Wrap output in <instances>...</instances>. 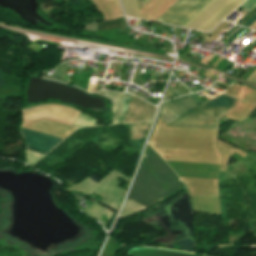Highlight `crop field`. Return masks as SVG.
Returning <instances> with one entry per match:
<instances>
[{"label":"crop field","instance_id":"8a807250","mask_svg":"<svg viewBox=\"0 0 256 256\" xmlns=\"http://www.w3.org/2000/svg\"><path fill=\"white\" fill-rule=\"evenodd\" d=\"M142 163L170 194L184 186L183 181H180L172 172L173 170L171 171L150 146L146 150ZM143 164H141L133 191L129 198L146 208L169 195V193Z\"/></svg>","mask_w":256,"mask_h":256},{"label":"crop field","instance_id":"ac0d7876","mask_svg":"<svg viewBox=\"0 0 256 256\" xmlns=\"http://www.w3.org/2000/svg\"><path fill=\"white\" fill-rule=\"evenodd\" d=\"M119 176H121L129 184L130 178L114 169L105 179H103L98 184L87 178L76 185L66 188L65 191L67 192L71 189L81 190L88 195L95 192L104 198L100 202L118 211L127 190V188L122 189L119 187L122 184L116 179Z\"/></svg>","mask_w":256,"mask_h":256},{"label":"crop field","instance_id":"34b2d1b8","mask_svg":"<svg viewBox=\"0 0 256 256\" xmlns=\"http://www.w3.org/2000/svg\"><path fill=\"white\" fill-rule=\"evenodd\" d=\"M244 0H211L184 27L210 31Z\"/></svg>","mask_w":256,"mask_h":256},{"label":"crop field","instance_id":"412701ff","mask_svg":"<svg viewBox=\"0 0 256 256\" xmlns=\"http://www.w3.org/2000/svg\"><path fill=\"white\" fill-rule=\"evenodd\" d=\"M230 108L201 107L169 126L216 129V120Z\"/></svg>","mask_w":256,"mask_h":256},{"label":"crop field","instance_id":"f4fd0767","mask_svg":"<svg viewBox=\"0 0 256 256\" xmlns=\"http://www.w3.org/2000/svg\"><path fill=\"white\" fill-rule=\"evenodd\" d=\"M210 0H178L161 16L169 18L159 17L157 22H166L168 24L182 26L187 22L194 14H196L203 6H205Z\"/></svg>","mask_w":256,"mask_h":256},{"label":"crop field","instance_id":"dd49c442","mask_svg":"<svg viewBox=\"0 0 256 256\" xmlns=\"http://www.w3.org/2000/svg\"><path fill=\"white\" fill-rule=\"evenodd\" d=\"M43 113H49V114H53V115H57V116H62V117L70 118L73 120L71 122L70 119L57 117V116H53V115H49V114H43ZM35 114H43V115H35ZM77 114H78V111H76L72 108H68V107H64V106H60V105H56V104H50V105H43V106H37V107L23 109V116L35 115V116L23 117V121L48 118V119H52V120H56V121H60V122L68 123V124H70V122H71V125H72Z\"/></svg>","mask_w":256,"mask_h":256},{"label":"crop field","instance_id":"e52e79f7","mask_svg":"<svg viewBox=\"0 0 256 256\" xmlns=\"http://www.w3.org/2000/svg\"><path fill=\"white\" fill-rule=\"evenodd\" d=\"M20 131L23 135L24 141L27 144L26 149L44 154L48 153L61 141H63V139L56 138L29 129L20 128Z\"/></svg>","mask_w":256,"mask_h":256},{"label":"crop field","instance_id":"d8731c3e","mask_svg":"<svg viewBox=\"0 0 256 256\" xmlns=\"http://www.w3.org/2000/svg\"><path fill=\"white\" fill-rule=\"evenodd\" d=\"M96 94L111 100L113 123H122L132 95L107 91Z\"/></svg>","mask_w":256,"mask_h":256},{"label":"crop field","instance_id":"5a996713","mask_svg":"<svg viewBox=\"0 0 256 256\" xmlns=\"http://www.w3.org/2000/svg\"><path fill=\"white\" fill-rule=\"evenodd\" d=\"M155 109H156L155 106L135 96H132V99L123 123L151 119Z\"/></svg>","mask_w":256,"mask_h":256},{"label":"crop field","instance_id":"3316defc","mask_svg":"<svg viewBox=\"0 0 256 256\" xmlns=\"http://www.w3.org/2000/svg\"><path fill=\"white\" fill-rule=\"evenodd\" d=\"M179 117L200 106L189 95L164 102Z\"/></svg>","mask_w":256,"mask_h":256},{"label":"crop field","instance_id":"28ad6ade","mask_svg":"<svg viewBox=\"0 0 256 256\" xmlns=\"http://www.w3.org/2000/svg\"><path fill=\"white\" fill-rule=\"evenodd\" d=\"M86 214L99 219L105 226L111 215L113 214V211L95 203L85 210H83Z\"/></svg>","mask_w":256,"mask_h":256},{"label":"crop field","instance_id":"d1516ede","mask_svg":"<svg viewBox=\"0 0 256 256\" xmlns=\"http://www.w3.org/2000/svg\"><path fill=\"white\" fill-rule=\"evenodd\" d=\"M150 123L151 121L129 124L132 139L145 137Z\"/></svg>","mask_w":256,"mask_h":256},{"label":"crop field","instance_id":"22f410ed","mask_svg":"<svg viewBox=\"0 0 256 256\" xmlns=\"http://www.w3.org/2000/svg\"><path fill=\"white\" fill-rule=\"evenodd\" d=\"M143 210H145L143 207L127 199L119 218L130 216Z\"/></svg>","mask_w":256,"mask_h":256},{"label":"crop field","instance_id":"cbeb9de0","mask_svg":"<svg viewBox=\"0 0 256 256\" xmlns=\"http://www.w3.org/2000/svg\"><path fill=\"white\" fill-rule=\"evenodd\" d=\"M234 101H235V99L230 98V97L225 96V95L222 94L221 96L213 99L212 101H210L209 103L205 104L204 106L231 107L232 104L234 103Z\"/></svg>","mask_w":256,"mask_h":256},{"label":"crop field","instance_id":"5142ce71","mask_svg":"<svg viewBox=\"0 0 256 256\" xmlns=\"http://www.w3.org/2000/svg\"><path fill=\"white\" fill-rule=\"evenodd\" d=\"M122 3L127 15L141 18L136 0H122Z\"/></svg>","mask_w":256,"mask_h":256},{"label":"crop field","instance_id":"d9b57169","mask_svg":"<svg viewBox=\"0 0 256 256\" xmlns=\"http://www.w3.org/2000/svg\"><path fill=\"white\" fill-rule=\"evenodd\" d=\"M160 117L164 119L167 123L174 121L179 118L173 111H171L165 104H163Z\"/></svg>","mask_w":256,"mask_h":256},{"label":"crop field","instance_id":"733c2abd","mask_svg":"<svg viewBox=\"0 0 256 256\" xmlns=\"http://www.w3.org/2000/svg\"><path fill=\"white\" fill-rule=\"evenodd\" d=\"M68 63V62H67ZM67 63H64L57 67L52 79L57 81H63L64 73L66 70Z\"/></svg>","mask_w":256,"mask_h":256},{"label":"crop field","instance_id":"4a817a6b","mask_svg":"<svg viewBox=\"0 0 256 256\" xmlns=\"http://www.w3.org/2000/svg\"><path fill=\"white\" fill-rule=\"evenodd\" d=\"M244 4V3H243ZM256 6V0H248L244 5L240 8L245 7L246 10L250 11L252 8ZM239 8V9H240Z\"/></svg>","mask_w":256,"mask_h":256},{"label":"crop field","instance_id":"bc2a9ffb","mask_svg":"<svg viewBox=\"0 0 256 256\" xmlns=\"http://www.w3.org/2000/svg\"><path fill=\"white\" fill-rule=\"evenodd\" d=\"M144 141L145 138L132 140L133 148L140 150Z\"/></svg>","mask_w":256,"mask_h":256},{"label":"crop field","instance_id":"214f88e0","mask_svg":"<svg viewBox=\"0 0 256 256\" xmlns=\"http://www.w3.org/2000/svg\"><path fill=\"white\" fill-rule=\"evenodd\" d=\"M256 13V8H254L250 13H248L245 17H243L240 21L246 22L248 19H250L254 14Z\"/></svg>","mask_w":256,"mask_h":256},{"label":"crop field","instance_id":"92a150f3","mask_svg":"<svg viewBox=\"0 0 256 256\" xmlns=\"http://www.w3.org/2000/svg\"><path fill=\"white\" fill-rule=\"evenodd\" d=\"M256 21V15H254L248 22L244 24V26L249 27L252 23Z\"/></svg>","mask_w":256,"mask_h":256},{"label":"crop field","instance_id":"dafd665d","mask_svg":"<svg viewBox=\"0 0 256 256\" xmlns=\"http://www.w3.org/2000/svg\"><path fill=\"white\" fill-rule=\"evenodd\" d=\"M149 0H138L139 8L144 6Z\"/></svg>","mask_w":256,"mask_h":256},{"label":"crop field","instance_id":"00972430","mask_svg":"<svg viewBox=\"0 0 256 256\" xmlns=\"http://www.w3.org/2000/svg\"><path fill=\"white\" fill-rule=\"evenodd\" d=\"M190 96H191L193 99H195L200 105L203 104V103H202L199 99H197L193 94L190 95ZM196 101H195V102H196ZM197 102H196V103H197Z\"/></svg>","mask_w":256,"mask_h":256},{"label":"crop field","instance_id":"a9b5d70f","mask_svg":"<svg viewBox=\"0 0 256 256\" xmlns=\"http://www.w3.org/2000/svg\"><path fill=\"white\" fill-rule=\"evenodd\" d=\"M202 89H205V88L200 86V87H195V88L191 89V91L194 92V91L202 90Z\"/></svg>","mask_w":256,"mask_h":256},{"label":"crop field","instance_id":"4177f3b9","mask_svg":"<svg viewBox=\"0 0 256 256\" xmlns=\"http://www.w3.org/2000/svg\"><path fill=\"white\" fill-rule=\"evenodd\" d=\"M167 92H169L171 95H173L174 97H179L178 95H176L172 90H170V89H168V91ZM172 96V97H173Z\"/></svg>","mask_w":256,"mask_h":256},{"label":"crop field","instance_id":"730fd06b","mask_svg":"<svg viewBox=\"0 0 256 256\" xmlns=\"http://www.w3.org/2000/svg\"><path fill=\"white\" fill-rule=\"evenodd\" d=\"M169 88L172 89V90H173L176 94H178L179 96H182V95H180L178 92H176L177 90L175 91L171 86H169Z\"/></svg>","mask_w":256,"mask_h":256},{"label":"crop field","instance_id":"eef30255","mask_svg":"<svg viewBox=\"0 0 256 256\" xmlns=\"http://www.w3.org/2000/svg\"><path fill=\"white\" fill-rule=\"evenodd\" d=\"M250 28L256 29V22L250 26Z\"/></svg>","mask_w":256,"mask_h":256},{"label":"crop field","instance_id":"ae1a2a85","mask_svg":"<svg viewBox=\"0 0 256 256\" xmlns=\"http://www.w3.org/2000/svg\"><path fill=\"white\" fill-rule=\"evenodd\" d=\"M101 256H108V255H105V254H103V253H102V255H101Z\"/></svg>","mask_w":256,"mask_h":256}]
</instances>
